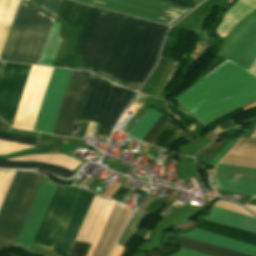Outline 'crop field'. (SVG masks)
I'll return each instance as SVG.
<instances>
[{
    "instance_id": "crop-field-1",
    "label": "crop field",
    "mask_w": 256,
    "mask_h": 256,
    "mask_svg": "<svg viewBox=\"0 0 256 256\" xmlns=\"http://www.w3.org/2000/svg\"><path fill=\"white\" fill-rule=\"evenodd\" d=\"M32 65L6 63L0 79V116L12 125ZM73 70L54 68L34 129L53 133ZM90 73L74 70L54 130L71 136L74 120Z\"/></svg>"
},
{
    "instance_id": "crop-field-2",
    "label": "crop field",
    "mask_w": 256,
    "mask_h": 256,
    "mask_svg": "<svg viewBox=\"0 0 256 256\" xmlns=\"http://www.w3.org/2000/svg\"><path fill=\"white\" fill-rule=\"evenodd\" d=\"M206 125L256 99V76L227 60L176 98Z\"/></svg>"
},
{
    "instance_id": "crop-field-3",
    "label": "crop field",
    "mask_w": 256,
    "mask_h": 256,
    "mask_svg": "<svg viewBox=\"0 0 256 256\" xmlns=\"http://www.w3.org/2000/svg\"><path fill=\"white\" fill-rule=\"evenodd\" d=\"M138 20L93 7L76 52L87 66L103 68L117 78ZM91 66L112 78L107 71Z\"/></svg>"
},
{
    "instance_id": "crop-field-4",
    "label": "crop field",
    "mask_w": 256,
    "mask_h": 256,
    "mask_svg": "<svg viewBox=\"0 0 256 256\" xmlns=\"http://www.w3.org/2000/svg\"><path fill=\"white\" fill-rule=\"evenodd\" d=\"M55 187L44 177L14 246L30 248ZM78 189L57 186L32 244L53 249Z\"/></svg>"
},
{
    "instance_id": "crop-field-5",
    "label": "crop field",
    "mask_w": 256,
    "mask_h": 256,
    "mask_svg": "<svg viewBox=\"0 0 256 256\" xmlns=\"http://www.w3.org/2000/svg\"><path fill=\"white\" fill-rule=\"evenodd\" d=\"M53 19L22 2L1 59L37 64Z\"/></svg>"
},
{
    "instance_id": "crop-field-6",
    "label": "crop field",
    "mask_w": 256,
    "mask_h": 256,
    "mask_svg": "<svg viewBox=\"0 0 256 256\" xmlns=\"http://www.w3.org/2000/svg\"><path fill=\"white\" fill-rule=\"evenodd\" d=\"M196 229H200L203 231H207L210 233H214L217 235H221L224 237H228L231 239H235V240L256 246V235L255 234L247 233L244 231H240L237 229L229 228L226 226H222V225H218V224H214V223H210V222H206V221H202V220L199 221ZM196 229H194L188 233L181 234V236H185L188 238L196 239V240L210 243L213 245H217L220 247H224V248H228V249L242 252L245 254H249L252 256H256V247L255 246L241 243L238 241H234V240H231L228 238H224L221 236H217V235L210 234V233L203 232V231L196 230ZM181 236H180V239H181V247L182 248L197 251V252L204 253V254L211 255V256H249V255H245L242 253H238V252L231 251L228 249L220 248L217 246H213L210 244H206L203 242H199V241L188 239V238L181 237Z\"/></svg>"
},
{
    "instance_id": "crop-field-7",
    "label": "crop field",
    "mask_w": 256,
    "mask_h": 256,
    "mask_svg": "<svg viewBox=\"0 0 256 256\" xmlns=\"http://www.w3.org/2000/svg\"><path fill=\"white\" fill-rule=\"evenodd\" d=\"M134 94L93 74L78 118L101 123L98 133L109 135Z\"/></svg>"
},
{
    "instance_id": "crop-field-8",
    "label": "crop field",
    "mask_w": 256,
    "mask_h": 256,
    "mask_svg": "<svg viewBox=\"0 0 256 256\" xmlns=\"http://www.w3.org/2000/svg\"><path fill=\"white\" fill-rule=\"evenodd\" d=\"M43 176L15 174L0 208V248L12 246Z\"/></svg>"
},
{
    "instance_id": "crop-field-9",
    "label": "crop field",
    "mask_w": 256,
    "mask_h": 256,
    "mask_svg": "<svg viewBox=\"0 0 256 256\" xmlns=\"http://www.w3.org/2000/svg\"><path fill=\"white\" fill-rule=\"evenodd\" d=\"M167 28V26L139 20L118 81L141 85L155 61Z\"/></svg>"
},
{
    "instance_id": "crop-field-10",
    "label": "crop field",
    "mask_w": 256,
    "mask_h": 256,
    "mask_svg": "<svg viewBox=\"0 0 256 256\" xmlns=\"http://www.w3.org/2000/svg\"><path fill=\"white\" fill-rule=\"evenodd\" d=\"M172 25L203 0H79Z\"/></svg>"
},
{
    "instance_id": "crop-field-11",
    "label": "crop field",
    "mask_w": 256,
    "mask_h": 256,
    "mask_svg": "<svg viewBox=\"0 0 256 256\" xmlns=\"http://www.w3.org/2000/svg\"><path fill=\"white\" fill-rule=\"evenodd\" d=\"M218 56L249 70L256 57V12L241 22L227 37Z\"/></svg>"
},
{
    "instance_id": "crop-field-12",
    "label": "crop field",
    "mask_w": 256,
    "mask_h": 256,
    "mask_svg": "<svg viewBox=\"0 0 256 256\" xmlns=\"http://www.w3.org/2000/svg\"><path fill=\"white\" fill-rule=\"evenodd\" d=\"M94 195L81 190L52 256H68Z\"/></svg>"
},
{
    "instance_id": "crop-field-13",
    "label": "crop field",
    "mask_w": 256,
    "mask_h": 256,
    "mask_svg": "<svg viewBox=\"0 0 256 256\" xmlns=\"http://www.w3.org/2000/svg\"><path fill=\"white\" fill-rule=\"evenodd\" d=\"M237 141L219 163L256 168V139L240 137Z\"/></svg>"
},
{
    "instance_id": "crop-field-14",
    "label": "crop field",
    "mask_w": 256,
    "mask_h": 256,
    "mask_svg": "<svg viewBox=\"0 0 256 256\" xmlns=\"http://www.w3.org/2000/svg\"><path fill=\"white\" fill-rule=\"evenodd\" d=\"M202 219H206L256 234L255 218L247 217L230 211L213 207L211 209L210 216L202 217Z\"/></svg>"
},
{
    "instance_id": "crop-field-15",
    "label": "crop field",
    "mask_w": 256,
    "mask_h": 256,
    "mask_svg": "<svg viewBox=\"0 0 256 256\" xmlns=\"http://www.w3.org/2000/svg\"><path fill=\"white\" fill-rule=\"evenodd\" d=\"M254 10H256V0H238L225 14L222 23L216 30L217 34L224 39L240 20Z\"/></svg>"
},
{
    "instance_id": "crop-field-16",
    "label": "crop field",
    "mask_w": 256,
    "mask_h": 256,
    "mask_svg": "<svg viewBox=\"0 0 256 256\" xmlns=\"http://www.w3.org/2000/svg\"><path fill=\"white\" fill-rule=\"evenodd\" d=\"M20 0H0V53Z\"/></svg>"
},
{
    "instance_id": "crop-field-17",
    "label": "crop field",
    "mask_w": 256,
    "mask_h": 256,
    "mask_svg": "<svg viewBox=\"0 0 256 256\" xmlns=\"http://www.w3.org/2000/svg\"><path fill=\"white\" fill-rule=\"evenodd\" d=\"M89 6L70 0H64L58 17L62 20L81 28Z\"/></svg>"
},
{
    "instance_id": "crop-field-18",
    "label": "crop field",
    "mask_w": 256,
    "mask_h": 256,
    "mask_svg": "<svg viewBox=\"0 0 256 256\" xmlns=\"http://www.w3.org/2000/svg\"><path fill=\"white\" fill-rule=\"evenodd\" d=\"M0 167H8V168H16V169H40V170H46L53 173H57L65 177L71 176L73 173V171L69 169L42 163V162L0 160Z\"/></svg>"
},
{
    "instance_id": "crop-field-19",
    "label": "crop field",
    "mask_w": 256,
    "mask_h": 256,
    "mask_svg": "<svg viewBox=\"0 0 256 256\" xmlns=\"http://www.w3.org/2000/svg\"><path fill=\"white\" fill-rule=\"evenodd\" d=\"M216 177L256 182V169L217 164Z\"/></svg>"
},
{
    "instance_id": "crop-field-20",
    "label": "crop field",
    "mask_w": 256,
    "mask_h": 256,
    "mask_svg": "<svg viewBox=\"0 0 256 256\" xmlns=\"http://www.w3.org/2000/svg\"><path fill=\"white\" fill-rule=\"evenodd\" d=\"M60 25L61 24L53 22L38 64H45V65L53 64L56 54L58 52V49L60 47L61 41H62L61 38L57 34Z\"/></svg>"
},
{
    "instance_id": "crop-field-21",
    "label": "crop field",
    "mask_w": 256,
    "mask_h": 256,
    "mask_svg": "<svg viewBox=\"0 0 256 256\" xmlns=\"http://www.w3.org/2000/svg\"><path fill=\"white\" fill-rule=\"evenodd\" d=\"M216 180H217V186L220 189H225L229 191L250 195V196H253L252 198L256 199V183L219 179V178H216Z\"/></svg>"
},
{
    "instance_id": "crop-field-22",
    "label": "crop field",
    "mask_w": 256,
    "mask_h": 256,
    "mask_svg": "<svg viewBox=\"0 0 256 256\" xmlns=\"http://www.w3.org/2000/svg\"><path fill=\"white\" fill-rule=\"evenodd\" d=\"M181 132L182 130L173 126L168 121L157 136L152 140L151 144L167 150Z\"/></svg>"
},
{
    "instance_id": "crop-field-23",
    "label": "crop field",
    "mask_w": 256,
    "mask_h": 256,
    "mask_svg": "<svg viewBox=\"0 0 256 256\" xmlns=\"http://www.w3.org/2000/svg\"><path fill=\"white\" fill-rule=\"evenodd\" d=\"M160 115L159 112L150 108L129 135L142 140Z\"/></svg>"
},
{
    "instance_id": "crop-field-24",
    "label": "crop field",
    "mask_w": 256,
    "mask_h": 256,
    "mask_svg": "<svg viewBox=\"0 0 256 256\" xmlns=\"http://www.w3.org/2000/svg\"><path fill=\"white\" fill-rule=\"evenodd\" d=\"M147 215V213L137 211L133 218L130 219L127 227L125 228L123 234L121 235L120 239L118 240L117 244L125 245L126 242L131 238V236L136 231L137 227L139 226L141 220Z\"/></svg>"
},
{
    "instance_id": "crop-field-25",
    "label": "crop field",
    "mask_w": 256,
    "mask_h": 256,
    "mask_svg": "<svg viewBox=\"0 0 256 256\" xmlns=\"http://www.w3.org/2000/svg\"><path fill=\"white\" fill-rule=\"evenodd\" d=\"M63 0H42L39 8L57 17Z\"/></svg>"
},
{
    "instance_id": "crop-field-26",
    "label": "crop field",
    "mask_w": 256,
    "mask_h": 256,
    "mask_svg": "<svg viewBox=\"0 0 256 256\" xmlns=\"http://www.w3.org/2000/svg\"><path fill=\"white\" fill-rule=\"evenodd\" d=\"M0 140L21 143V144H27V145H32V146L35 145L34 138H28V137L6 134V133H0Z\"/></svg>"
},
{
    "instance_id": "crop-field-27",
    "label": "crop field",
    "mask_w": 256,
    "mask_h": 256,
    "mask_svg": "<svg viewBox=\"0 0 256 256\" xmlns=\"http://www.w3.org/2000/svg\"><path fill=\"white\" fill-rule=\"evenodd\" d=\"M168 120L165 116H161V118L157 121V123L153 126V128L148 132V134L144 137L143 141L148 143L156 136V134L161 130V128L166 124Z\"/></svg>"
},
{
    "instance_id": "crop-field-28",
    "label": "crop field",
    "mask_w": 256,
    "mask_h": 256,
    "mask_svg": "<svg viewBox=\"0 0 256 256\" xmlns=\"http://www.w3.org/2000/svg\"><path fill=\"white\" fill-rule=\"evenodd\" d=\"M91 244L76 241L69 256H86Z\"/></svg>"
},
{
    "instance_id": "crop-field-29",
    "label": "crop field",
    "mask_w": 256,
    "mask_h": 256,
    "mask_svg": "<svg viewBox=\"0 0 256 256\" xmlns=\"http://www.w3.org/2000/svg\"><path fill=\"white\" fill-rule=\"evenodd\" d=\"M173 256H207V255L200 254V253H197V252H193V251H189V250L181 248L180 252L173 255Z\"/></svg>"
},
{
    "instance_id": "crop-field-30",
    "label": "crop field",
    "mask_w": 256,
    "mask_h": 256,
    "mask_svg": "<svg viewBox=\"0 0 256 256\" xmlns=\"http://www.w3.org/2000/svg\"><path fill=\"white\" fill-rule=\"evenodd\" d=\"M89 123L90 122H88V121H82V125H81V128H80V131H79V137H84V134H85V132H86V130H87V127H88V125H89Z\"/></svg>"
},
{
    "instance_id": "crop-field-31",
    "label": "crop field",
    "mask_w": 256,
    "mask_h": 256,
    "mask_svg": "<svg viewBox=\"0 0 256 256\" xmlns=\"http://www.w3.org/2000/svg\"><path fill=\"white\" fill-rule=\"evenodd\" d=\"M11 127L0 120V129L9 131Z\"/></svg>"
},
{
    "instance_id": "crop-field-32",
    "label": "crop field",
    "mask_w": 256,
    "mask_h": 256,
    "mask_svg": "<svg viewBox=\"0 0 256 256\" xmlns=\"http://www.w3.org/2000/svg\"><path fill=\"white\" fill-rule=\"evenodd\" d=\"M252 73H254L256 75V59L254 61V63L252 64L250 70Z\"/></svg>"
},
{
    "instance_id": "crop-field-33",
    "label": "crop field",
    "mask_w": 256,
    "mask_h": 256,
    "mask_svg": "<svg viewBox=\"0 0 256 256\" xmlns=\"http://www.w3.org/2000/svg\"><path fill=\"white\" fill-rule=\"evenodd\" d=\"M255 128H256V123H255V125H254V127H253V129H252V131H251V133H250V135H249V137H251V135H252V133L254 132Z\"/></svg>"
},
{
    "instance_id": "crop-field-34",
    "label": "crop field",
    "mask_w": 256,
    "mask_h": 256,
    "mask_svg": "<svg viewBox=\"0 0 256 256\" xmlns=\"http://www.w3.org/2000/svg\"><path fill=\"white\" fill-rule=\"evenodd\" d=\"M3 63L4 62H0V72H1V69H2V66H3Z\"/></svg>"
},
{
    "instance_id": "crop-field-35",
    "label": "crop field",
    "mask_w": 256,
    "mask_h": 256,
    "mask_svg": "<svg viewBox=\"0 0 256 256\" xmlns=\"http://www.w3.org/2000/svg\"><path fill=\"white\" fill-rule=\"evenodd\" d=\"M123 254V253H122ZM122 256V255H121Z\"/></svg>"
}]
</instances>
